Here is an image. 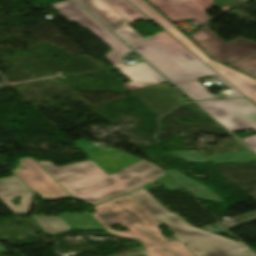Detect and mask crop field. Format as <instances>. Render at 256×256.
<instances>
[{
  "label": "crop field",
  "instance_id": "crop-field-1",
  "mask_svg": "<svg viewBox=\"0 0 256 256\" xmlns=\"http://www.w3.org/2000/svg\"><path fill=\"white\" fill-rule=\"evenodd\" d=\"M72 196L92 205L129 192L165 173L141 160L110 176L92 160L57 168L51 162H37ZM148 184V183H147Z\"/></svg>",
  "mask_w": 256,
  "mask_h": 256
},
{
  "label": "crop field",
  "instance_id": "crop-field-2",
  "mask_svg": "<svg viewBox=\"0 0 256 256\" xmlns=\"http://www.w3.org/2000/svg\"><path fill=\"white\" fill-rule=\"evenodd\" d=\"M96 212L91 214L109 233L126 238H139L144 248L141 250L146 256H195L179 240L168 242L157 227L156 221L128 194L102 203L94 207ZM119 222L130 232L113 231L108 226Z\"/></svg>",
  "mask_w": 256,
  "mask_h": 256
},
{
  "label": "crop field",
  "instance_id": "crop-field-3",
  "mask_svg": "<svg viewBox=\"0 0 256 256\" xmlns=\"http://www.w3.org/2000/svg\"><path fill=\"white\" fill-rule=\"evenodd\" d=\"M159 182L171 192L180 190L166 176L154 183L140 188L129 195L146 209L166 229L176 236L197 256H254L242 244L233 242L207 231L194 228L174 213L168 212L146 191L156 187Z\"/></svg>",
  "mask_w": 256,
  "mask_h": 256
},
{
  "label": "crop field",
  "instance_id": "crop-field-4",
  "mask_svg": "<svg viewBox=\"0 0 256 256\" xmlns=\"http://www.w3.org/2000/svg\"><path fill=\"white\" fill-rule=\"evenodd\" d=\"M176 86L201 77L216 75L234 94L226 98L245 97L204 62L167 33H159L142 42L129 45Z\"/></svg>",
  "mask_w": 256,
  "mask_h": 256
},
{
  "label": "crop field",
  "instance_id": "crop-field-5",
  "mask_svg": "<svg viewBox=\"0 0 256 256\" xmlns=\"http://www.w3.org/2000/svg\"><path fill=\"white\" fill-rule=\"evenodd\" d=\"M52 7L59 11L69 21L78 22L83 27L89 28L101 40L114 49L107 54L106 57L116 69L133 81L123 84L129 91L167 82L166 79L145 62L125 66L121 57L127 56L126 53L132 52V50L113 36L73 0L53 5Z\"/></svg>",
  "mask_w": 256,
  "mask_h": 256
},
{
  "label": "crop field",
  "instance_id": "crop-field-6",
  "mask_svg": "<svg viewBox=\"0 0 256 256\" xmlns=\"http://www.w3.org/2000/svg\"><path fill=\"white\" fill-rule=\"evenodd\" d=\"M230 132L256 130V106L247 99L196 102Z\"/></svg>",
  "mask_w": 256,
  "mask_h": 256
},
{
  "label": "crop field",
  "instance_id": "crop-field-7",
  "mask_svg": "<svg viewBox=\"0 0 256 256\" xmlns=\"http://www.w3.org/2000/svg\"><path fill=\"white\" fill-rule=\"evenodd\" d=\"M200 48L225 64H230L256 53V43L238 38L225 43L207 26L190 36Z\"/></svg>",
  "mask_w": 256,
  "mask_h": 256
},
{
  "label": "crop field",
  "instance_id": "crop-field-8",
  "mask_svg": "<svg viewBox=\"0 0 256 256\" xmlns=\"http://www.w3.org/2000/svg\"><path fill=\"white\" fill-rule=\"evenodd\" d=\"M16 174L31 190L39 193L44 200L71 196L33 158L18 160Z\"/></svg>",
  "mask_w": 256,
  "mask_h": 256
},
{
  "label": "crop field",
  "instance_id": "crop-field-9",
  "mask_svg": "<svg viewBox=\"0 0 256 256\" xmlns=\"http://www.w3.org/2000/svg\"><path fill=\"white\" fill-rule=\"evenodd\" d=\"M174 38H176L180 43L193 52L197 57L203 60L207 65H209L213 70H215L220 76H222L226 81L243 93L246 97L251 99L256 103V80L251 79L245 75L235 72L229 68H226L220 64L211 61L204 53H202L198 48H196L190 41H188L181 33L176 29L167 30Z\"/></svg>",
  "mask_w": 256,
  "mask_h": 256
},
{
  "label": "crop field",
  "instance_id": "crop-field-10",
  "mask_svg": "<svg viewBox=\"0 0 256 256\" xmlns=\"http://www.w3.org/2000/svg\"><path fill=\"white\" fill-rule=\"evenodd\" d=\"M92 144L93 142L83 139L75 143L80 150L91 158L108 175L141 160L116 149H101Z\"/></svg>",
  "mask_w": 256,
  "mask_h": 256
},
{
  "label": "crop field",
  "instance_id": "crop-field-11",
  "mask_svg": "<svg viewBox=\"0 0 256 256\" xmlns=\"http://www.w3.org/2000/svg\"><path fill=\"white\" fill-rule=\"evenodd\" d=\"M155 8H157L165 17L172 23L186 20L195 19L201 24H204L209 19L197 5L191 0H147ZM210 21V20H209Z\"/></svg>",
  "mask_w": 256,
  "mask_h": 256
},
{
  "label": "crop field",
  "instance_id": "crop-field-12",
  "mask_svg": "<svg viewBox=\"0 0 256 256\" xmlns=\"http://www.w3.org/2000/svg\"><path fill=\"white\" fill-rule=\"evenodd\" d=\"M22 196L19 206L11 204V200ZM32 193L30 189L16 176L0 179V200L15 214H26Z\"/></svg>",
  "mask_w": 256,
  "mask_h": 256
},
{
  "label": "crop field",
  "instance_id": "crop-field-13",
  "mask_svg": "<svg viewBox=\"0 0 256 256\" xmlns=\"http://www.w3.org/2000/svg\"><path fill=\"white\" fill-rule=\"evenodd\" d=\"M111 30L130 25L121 15L103 0H77Z\"/></svg>",
  "mask_w": 256,
  "mask_h": 256
},
{
  "label": "crop field",
  "instance_id": "crop-field-14",
  "mask_svg": "<svg viewBox=\"0 0 256 256\" xmlns=\"http://www.w3.org/2000/svg\"><path fill=\"white\" fill-rule=\"evenodd\" d=\"M167 175L172 177L176 182H178L184 189H186L195 198L225 203L212 191H210L206 186L180 174L174 169H169L164 171Z\"/></svg>",
  "mask_w": 256,
  "mask_h": 256
},
{
  "label": "crop field",
  "instance_id": "crop-field-15",
  "mask_svg": "<svg viewBox=\"0 0 256 256\" xmlns=\"http://www.w3.org/2000/svg\"><path fill=\"white\" fill-rule=\"evenodd\" d=\"M212 164H245L256 161V156L248 149L206 157Z\"/></svg>",
  "mask_w": 256,
  "mask_h": 256
},
{
  "label": "crop field",
  "instance_id": "crop-field-16",
  "mask_svg": "<svg viewBox=\"0 0 256 256\" xmlns=\"http://www.w3.org/2000/svg\"><path fill=\"white\" fill-rule=\"evenodd\" d=\"M129 22L139 20L150 21L144 14L131 5L127 0H104Z\"/></svg>",
  "mask_w": 256,
  "mask_h": 256
},
{
  "label": "crop field",
  "instance_id": "crop-field-17",
  "mask_svg": "<svg viewBox=\"0 0 256 256\" xmlns=\"http://www.w3.org/2000/svg\"><path fill=\"white\" fill-rule=\"evenodd\" d=\"M73 229H104L88 214H60Z\"/></svg>",
  "mask_w": 256,
  "mask_h": 256
},
{
  "label": "crop field",
  "instance_id": "crop-field-18",
  "mask_svg": "<svg viewBox=\"0 0 256 256\" xmlns=\"http://www.w3.org/2000/svg\"><path fill=\"white\" fill-rule=\"evenodd\" d=\"M41 227L48 233H60L65 230L71 229V227L65 223L60 217H35Z\"/></svg>",
  "mask_w": 256,
  "mask_h": 256
},
{
  "label": "crop field",
  "instance_id": "crop-field-19",
  "mask_svg": "<svg viewBox=\"0 0 256 256\" xmlns=\"http://www.w3.org/2000/svg\"><path fill=\"white\" fill-rule=\"evenodd\" d=\"M128 1L132 3L136 8H138L142 13H144L148 18H150L153 22H155L164 30L172 27L166 20H164L158 13H156L144 1L142 0H128Z\"/></svg>",
  "mask_w": 256,
  "mask_h": 256
},
{
  "label": "crop field",
  "instance_id": "crop-field-20",
  "mask_svg": "<svg viewBox=\"0 0 256 256\" xmlns=\"http://www.w3.org/2000/svg\"><path fill=\"white\" fill-rule=\"evenodd\" d=\"M180 89L187 93L194 101L202 99H215L205 90V87L198 82L183 86Z\"/></svg>",
  "mask_w": 256,
  "mask_h": 256
},
{
  "label": "crop field",
  "instance_id": "crop-field-21",
  "mask_svg": "<svg viewBox=\"0 0 256 256\" xmlns=\"http://www.w3.org/2000/svg\"><path fill=\"white\" fill-rule=\"evenodd\" d=\"M168 153L189 163H209L204 156L196 151H172Z\"/></svg>",
  "mask_w": 256,
  "mask_h": 256
},
{
  "label": "crop field",
  "instance_id": "crop-field-22",
  "mask_svg": "<svg viewBox=\"0 0 256 256\" xmlns=\"http://www.w3.org/2000/svg\"><path fill=\"white\" fill-rule=\"evenodd\" d=\"M230 66L256 77V54L232 63Z\"/></svg>",
  "mask_w": 256,
  "mask_h": 256
},
{
  "label": "crop field",
  "instance_id": "crop-field-23",
  "mask_svg": "<svg viewBox=\"0 0 256 256\" xmlns=\"http://www.w3.org/2000/svg\"><path fill=\"white\" fill-rule=\"evenodd\" d=\"M113 32H115L126 43L143 39V37H141L137 32H135L129 26L113 30Z\"/></svg>",
  "mask_w": 256,
  "mask_h": 256
},
{
  "label": "crop field",
  "instance_id": "crop-field-24",
  "mask_svg": "<svg viewBox=\"0 0 256 256\" xmlns=\"http://www.w3.org/2000/svg\"><path fill=\"white\" fill-rule=\"evenodd\" d=\"M195 4H197L201 9L205 12L212 4V0H192Z\"/></svg>",
  "mask_w": 256,
  "mask_h": 256
},
{
  "label": "crop field",
  "instance_id": "crop-field-25",
  "mask_svg": "<svg viewBox=\"0 0 256 256\" xmlns=\"http://www.w3.org/2000/svg\"><path fill=\"white\" fill-rule=\"evenodd\" d=\"M243 141L256 152V136L243 139Z\"/></svg>",
  "mask_w": 256,
  "mask_h": 256
},
{
  "label": "crop field",
  "instance_id": "crop-field-26",
  "mask_svg": "<svg viewBox=\"0 0 256 256\" xmlns=\"http://www.w3.org/2000/svg\"><path fill=\"white\" fill-rule=\"evenodd\" d=\"M3 249L2 248H0V251H2Z\"/></svg>",
  "mask_w": 256,
  "mask_h": 256
}]
</instances>
